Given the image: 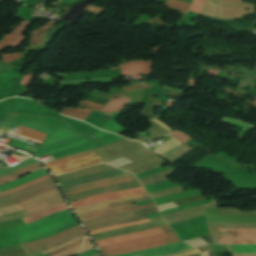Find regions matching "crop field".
I'll use <instances>...</instances> for the list:
<instances>
[{
  "label": "crop field",
  "instance_id": "31",
  "mask_svg": "<svg viewBox=\"0 0 256 256\" xmlns=\"http://www.w3.org/2000/svg\"><path fill=\"white\" fill-rule=\"evenodd\" d=\"M20 130H22L21 135L35 139L40 142H42L43 139L46 137V134L27 129L22 126L20 127Z\"/></svg>",
  "mask_w": 256,
  "mask_h": 256
},
{
  "label": "crop field",
  "instance_id": "14",
  "mask_svg": "<svg viewBox=\"0 0 256 256\" xmlns=\"http://www.w3.org/2000/svg\"><path fill=\"white\" fill-rule=\"evenodd\" d=\"M189 248L190 247L187 246L185 243L179 242V243L170 244L166 246L137 251V252L121 255V256H162V255L182 251Z\"/></svg>",
  "mask_w": 256,
  "mask_h": 256
},
{
  "label": "crop field",
  "instance_id": "39",
  "mask_svg": "<svg viewBox=\"0 0 256 256\" xmlns=\"http://www.w3.org/2000/svg\"><path fill=\"white\" fill-rule=\"evenodd\" d=\"M84 236H85V235H84ZM84 236H81V237H79V238H76V239H73V240L68 241V242H66V243H63V244H61V245H59V246H56V247H54V248H52V249L45 250L44 252L47 254V253L52 252V251H55V250H57V249L66 247V246H68V245H70V244H72V243H74V242H77V241H79V240H82V239L84 238Z\"/></svg>",
  "mask_w": 256,
  "mask_h": 256
},
{
  "label": "crop field",
  "instance_id": "52",
  "mask_svg": "<svg viewBox=\"0 0 256 256\" xmlns=\"http://www.w3.org/2000/svg\"><path fill=\"white\" fill-rule=\"evenodd\" d=\"M84 103H87V104H90V105H92V106H96V107L102 108V106H99V105H96V104H92V103H89V102H86V101H84Z\"/></svg>",
  "mask_w": 256,
  "mask_h": 256
},
{
  "label": "crop field",
  "instance_id": "50",
  "mask_svg": "<svg viewBox=\"0 0 256 256\" xmlns=\"http://www.w3.org/2000/svg\"><path fill=\"white\" fill-rule=\"evenodd\" d=\"M32 76H33V74L24 75V77H23V79H22L23 83L26 85L27 82H28V80H29V78H32ZM22 81L20 82L21 85H23ZM30 81H31V80H29L28 84L30 83ZM28 84H27V86H28Z\"/></svg>",
  "mask_w": 256,
  "mask_h": 256
},
{
  "label": "crop field",
  "instance_id": "29",
  "mask_svg": "<svg viewBox=\"0 0 256 256\" xmlns=\"http://www.w3.org/2000/svg\"><path fill=\"white\" fill-rule=\"evenodd\" d=\"M191 4L189 3H185V2H181L178 0H167V2L164 4V6L170 8V9H174L180 12H184L186 13L189 9Z\"/></svg>",
  "mask_w": 256,
  "mask_h": 256
},
{
  "label": "crop field",
  "instance_id": "10",
  "mask_svg": "<svg viewBox=\"0 0 256 256\" xmlns=\"http://www.w3.org/2000/svg\"><path fill=\"white\" fill-rule=\"evenodd\" d=\"M214 229L220 243H256V229Z\"/></svg>",
  "mask_w": 256,
  "mask_h": 256
},
{
  "label": "crop field",
  "instance_id": "25",
  "mask_svg": "<svg viewBox=\"0 0 256 256\" xmlns=\"http://www.w3.org/2000/svg\"><path fill=\"white\" fill-rule=\"evenodd\" d=\"M127 98L111 99L108 104L101 110L102 112H115L121 110L122 107L127 103Z\"/></svg>",
  "mask_w": 256,
  "mask_h": 256
},
{
  "label": "crop field",
  "instance_id": "55",
  "mask_svg": "<svg viewBox=\"0 0 256 256\" xmlns=\"http://www.w3.org/2000/svg\"><path fill=\"white\" fill-rule=\"evenodd\" d=\"M95 256H99V254L95 255Z\"/></svg>",
  "mask_w": 256,
  "mask_h": 256
},
{
  "label": "crop field",
  "instance_id": "33",
  "mask_svg": "<svg viewBox=\"0 0 256 256\" xmlns=\"http://www.w3.org/2000/svg\"><path fill=\"white\" fill-rule=\"evenodd\" d=\"M128 176H132V174L127 173V174H124L121 176H117V177H113V178H109V179H105V180H101V181H97V182H93V183H89V184H85V185H80V186H76V187H72V188H68V189H64L63 192L65 193V192H69V191L79 189L82 187H86V186H90V185H94V184H98V183H102V182H107V181H113V180L121 179V178L128 177Z\"/></svg>",
  "mask_w": 256,
  "mask_h": 256
},
{
  "label": "crop field",
  "instance_id": "37",
  "mask_svg": "<svg viewBox=\"0 0 256 256\" xmlns=\"http://www.w3.org/2000/svg\"><path fill=\"white\" fill-rule=\"evenodd\" d=\"M221 120L228 122V123L235 124V125L243 128V129H246V130H249V128L251 127V125H249V124H246V123L238 121V120L230 119V118L223 117Z\"/></svg>",
  "mask_w": 256,
  "mask_h": 256
},
{
  "label": "crop field",
  "instance_id": "21",
  "mask_svg": "<svg viewBox=\"0 0 256 256\" xmlns=\"http://www.w3.org/2000/svg\"><path fill=\"white\" fill-rule=\"evenodd\" d=\"M43 168L38 162L28 166V167H25L23 169H20L16 172H13L7 176H3V177H0V184L2 183H5V182H9V181H12L14 179H17V178H20L32 171H35V170H38V169H41Z\"/></svg>",
  "mask_w": 256,
  "mask_h": 256
},
{
  "label": "crop field",
  "instance_id": "19",
  "mask_svg": "<svg viewBox=\"0 0 256 256\" xmlns=\"http://www.w3.org/2000/svg\"><path fill=\"white\" fill-rule=\"evenodd\" d=\"M119 66L121 75H144L149 74V71H151L150 61L128 62Z\"/></svg>",
  "mask_w": 256,
  "mask_h": 256
},
{
  "label": "crop field",
  "instance_id": "49",
  "mask_svg": "<svg viewBox=\"0 0 256 256\" xmlns=\"http://www.w3.org/2000/svg\"><path fill=\"white\" fill-rule=\"evenodd\" d=\"M160 115H158L155 119H153L152 121L158 123L159 125H161L162 127H164L165 129H167L168 131H171V128L169 126H167L166 124H164L161 120L157 119Z\"/></svg>",
  "mask_w": 256,
  "mask_h": 256
},
{
  "label": "crop field",
  "instance_id": "40",
  "mask_svg": "<svg viewBox=\"0 0 256 256\" xmlns=\"http://www.w3.org/2000/svg\"><path fill=\"white\" fill-rule=\"evenodd\" d=\"M20 55L21 53H12V54L1 55V57H2V60H4L5 62H8V61H12L19 58Z\"/></svg>",
  "mask_w": 256,
  "mask_h": 256
},
{
  "label": "crop field",
  "instance_id": "13",
  "mask_svg": "<svg viewBox=\"0 0 256 256\" xmlns=\"http://www.w3.org/2000/svg\"><path fill=\"white\" fill-rule=\"evenodd\" d=\"M149 199L150 197L148 196V194H144V195H138V196L129 197V198L116 199V200H110L102 203H97V204L81 207L78 209H74V211L76 215H79V214H83L90 211L105 209L109 207H114V206H119L123 204L134 203V202L144 201Z\"/></svg>",
  "mask_w": 256,
  "mask_h": 256
},
{
  "label": "crop field",
  "instance_id": "22",
  "mask_svg": "<svg viewBox=\"0 0 256 256\" xmlns=\"http://www.w3.org/2000/svg\"><path fill=\"white\" fill-rule=\"evenodd\" d=\"M68 209L66 203H62V204H58V205H54L48 209H45L39 213H36L30 217H26V218H23V221L25 222V224L29 223V222H32V221H35V220H38L42 217H45L49 214H52L54 212H58V211H61V210H66Z\"/></svg>",
  "mask_w": 256,
  "mask_h": 256
},
{
  "label": "crop field",
  "instance_id": "11",
  "mask_svg": "<svg viewBox=\"0 0 256 256\" xmlns=\"http://www.w3.org/2000/svg\"><path fill=\"white\" fill-rule=\"evenodd\" d=\"M146 193L142 187L135 188V189H130L126 191H120V192H113V193H107V194H102V195H96L92 196L83 200H79L73 203H70V206L72 209L84 205H88L91 203H96V202H102L110 199H115V198H121V197H127V196H132V195H138V194H144Z\"/></svg>",
  "mask_w": 256,
  "mask_h": 256
},
{
  "label": "crop field",
  "instance_id": "51",
  "mask_svg": "<svg viewBox=\"0 0 256 256\" xmlns=\"http://www.w3.org/2000/svg\"><path fill=\"white\" fill-rule=\"evenodd\" d=\"M8 134H11V135H14V136H17V137H20V138H24V139H27V140H30V141H33V142H36V143L41 144L40 142H37V141H34V140H32V139H29V138L23 137V136H21V135L14 134V133H12V132H10V133H8Z\"/></svg>",
  "mask_w": 256,
  "mask_h": 256
},
{
  "label": "crop field",
  "instance_id": "28",
  "mask_svg": "<svg viewBox=\"0 0 256 256\" xmlns=\"http://www.w3.org/2000/svg\"><path fill=\"white\" fill-rule=\"evenodd\" d=\"M179 144H181V142H179L177 139L173 137L165 141L164 143L160 144L159 146L155 147L156 149L154 151L157 154L161 155Z\"/></svg>",
  "mask_w": 256,
  "mask_h": 256
},
{
  "label": "crop field",
  "instance_id": "3",
  "mask_svg": "<svg viewBox=\"0 0 256 256\" xmlns=\"http://www.w3.org/2000/svg\"><path fill=\"white\" fill-rule=\"evenodd\" d=\"M102 162L103 160L101 158L88 150L80 154L63 157L61 159L46 163L44 165L51 171L53 176H56L71 170L87 167Z\"/></svg>",
  "mask_w": 256,
  "mask_h": 256
},
{
  "label": "crop field",
  "instance_id": "42",
  "mask_svg": "<svg viewBox=\"0 0 256 256\" xmlns=\"http://www.w3.org/2000/svg\"><path fill=\"white\" fill-rule=\"evenodd\" d=\"M203 2L204 0H194L190 10L198 13Z\"/></svg>",
  "mask_w": 256,
  "mask_h": 256
},
{
  "label": "crop field",
  "instance_id": "47",
  "mask_svg": "<svg viewBox=\"0 0 256 256\" xmlns=\"http://www.w3.org/2000/svg\"><path fill=\"white\" fill-rule=\"evenodd\" d=\"M90 248H93V245H92L91 241H89V242H87V243H84V244L82 245V248H81L77 253H80V252H82V251L88 250V249H90Z\"/></svg>",
  "mask_w": 256,
  "mask_h": 256
},
{
  "label": "crop field",
  "instance_id": "24",
  "mask_svg": "<svg viewBox=\"0 0 256 256\" xmlns=\"http://www.w3.org/2000/svg\"><path fill=\"white\" fill-rule=\"evenodd\" d=\"M57 22H59V21H57ZM57 22L49 21V22H47L45 25L39 27L37 30H33L32 33H31V35H30V38H31V39H30L29 42H30L32 45L39 44V42H40V40H41V38H40L41 34H42L45 30H47V29H49L50 27L54 26ZM28 37H29V36H28Z\"/></svg>",
  "mask_w": 256,
  "mask_h": 256
},
{
  "label": "crop field",
  "instance_id": "53",
  "mask_svg": "<svg viewBox=\"0 0 256 256\" xmlns=\"http://www.w3.org/2000/svg\"><path fill=\"white\" fill-rule=\"evenodd\" d=\"M86 241H89V238H86V239L84 240V242H86ZM84 242H83V243H84Z\"/></svg>",
  "mask_w": 256,
  "mask_h": 256
},
{
  "label": "crop field",
  "instance_id": "18",
  "mask_svg": "<svg viewBox=\"0 0 256 256\" xmlns=\"http://www.w3.org/2000/svg\"><path fill=\"white\" fill-rule=\"evenodd\" d=\"M150 206H154V203L146 204V205H142V206H138V207H136V206L133 207V204L126 205V206H120V207H114V208L105 209V210H101V211H97V212H93V213H89V214L79 215L77 217L81 222H83V221H87V220L105 216V215L134 211V210L147 208ZM128 207H133V208H128ZM122 208H128V209H122ZM116 209H122V210H116ZM112 210H116V211H112Z\"/></svg>",
  "mask_w": 256,
  "mask_h": 256
},
{
  "label": "crop field",
  "instance_id": "7",
  "mask_svg": "<svg viewBox=\"0 0 256 256\" xmlns=\"http://www.w3.org/2000/svg\"><path fill=\"white\" fill-rule=\"evenodd\" d=\"M148 221H150V220L146 219V220L136 221V222L120 225V226L107 227V228L89 232V234L92 235L97 232L121 228V227L134 225V224H138V223H144V222H148ZM163 225H166V224L164 223L163 219H161V220H157V221H153V222H149V223H145V224L134 225V226H129V227L113 230V231L97 233V234L92 235V238L94 239V241H97V240L106 239V238H110V237H114V236H118V235H122V234L140 232V231L156 228V227L163 226Z\"/></svg>",
  "mask_w": 256,
  "mask_h": 256
},
{
  "label": "crop field",
  "instance_id": "35",
  "mask_svg": "<svg viewBox=\"0 0 256 256\" xmlns=\"http://www.w3.org/2000/svg\"><path fill=\"white\" fill-rule=\"evenodd\" d=\"M208 250H210L209 245L204 246V247H200V248H196V249H192V250H188V251H184V252H180V253H177V254L171 255V256H185V255H189V254H193V253H197V252H202V251H208Z\"/></svg>",
  "mask_w": 256,
  "mask_h": 256
},
{
  "label": "crop field",
  "instance_id": "30",
  "mask_svg": "<svg viewBox=\"0 0 256 256\" xmlns=\"http://www.w3.org/2000/svg\"><path fill=\"white\" fill-rule=\"evenodd\" d=\"M232 253L256 252V245H229Z\"/></svg>",
  "mask_w": 256,
  "mask_h": 256
},
{
  "label": "crop field",
  "instance_id": "45",
  "mask_svg": "<svg viewBox=\"0 0 256 256\" xmlns=\"http://www.w3.org/2000/svg\"><path fill=\"white\" fill-rule=\"evenodd\" d=\"M89 10V11H93V12H96V13H102L104 8H100V7H96V6H93V5H88L87 8L85 9V12Z\"/></svg>",
  "mask_w": 256,
  "mask_h": 256
},
{
  "label": "crop field",
  "instance_id": "6",
  "mask_svg": "<svg viewBox=\"0 0 256 256\" xmlns=\"http://www.w3.org/2000/svg\"><path fill=\"white\" fill-rule=\"evenodd\" d=\"M53 189H57V186L53 180V178L42 181L38 184H35L33 186H30L28 188H25L23 190H20L18 192L1 196L0 197V208L6 207L13 204H18L22 201H25L35 195H38L40 193L50 191Z\"/></svg>",
  "mask_w": 256,
  "mask_h": 256
},
{
  "label": "crop field",
  "instance_id": "5",
  "mask_svg": "<svg viewBox=\"0 0 256 256\" xmlns=\"http://www.w3.org/2000/svg\"><path fill=\"white\" fill-rule=\"evenodd\" d=\"M156 212L158 211L156 206H154V207H150V208L139 210V211L111 215V216L94 219L86 223H83V225L87 231H90V230H94V229H98L106 226H115V225L128 223L136 220L146 219L144 215L152 214Z\"/></svg>",
  "mask_w": 256,
  "mask_h": 256
},
{
  "label": "crop field",
  "instance_id": "1",
  "mask_svg": "<svg viewBox=\"0 0 256 256\" xmlns=\"http://www.w3.org/2000/svg\"><path fill=\"white\" fill-rule=\"evenodd\" d=\"M75 225L78 222L70 210H66L17 228L21 234V242L24 243L47 238Z\"/></svg>",
  "mask_w": 256,
  "mask_h": 256
},
{
  "label": "crop field",
  "instance_id": "34",
  "mask_svg": "<svg viewBox=\"0 0 256 256\" xmlns=\"http://www.w3.org/2000/svg\"><path fill=\"white\" fill-rule=\"evenodd\" d=\"M16 36L17 34L11 32L9 34H5V36L0 41V51L7 47Z\"/></svg>",
  "mask_w": 256,
  "mask_h": 256
},
{
  "label": "crop field",
  "instance_id": "54",
  "mask_svg": "<svg viewBox=\"0 0 256 256\" xmlns=\"http://www.w3.org/2000/svg\"><path fill=\"white\" fill-rule=\"evenodd\" d=\"M190 256H199V254H194V255H190Z\"/></svg>",
  "mask_w": 256,
  "mask_h": 256
},
{
  "label": "crop field",
  "instance_id": "12",
  "mask_svg": "<svg viewBox=\"0 0 256 256\" xmlns=\"http://www.w3.org/2000/svg\"><path fill=\"white\" fill-rule=\"evenodd\" d=\"M141 186L140 183L137 180L130 181V182H125V183H120V184H115L107 187H102V188H96V189H90L86 190L84 192L74 194L71 196H67L68 202H73L79 199H83L87 196L91 195H96V194H102V193H107V192H113V191H118V190H124V189H130V188H135Z\"/></svg>",
  "mask_w": 256,
  "mask_h": 256
},
{
  "label": "crop field",
  "instance_id": "15",
  "mask_svg": "<svg viewBox=\"0 0 256 256\" xmlns=\"http://www.w3.org/2000/svg\"><path fill=\"white\" fill-rule=\"evenodd\" d=\"M44 172H46V170L43 168V169H41V170L35 171V172H33V173H30V174H28V175H26V176H24V177H22V178H20V179H17V180H15V181L2 184V185H0V188L12 186V185L17 184V183H19V182H21V181H23V180H25V179H28V178H30V177H33V176H35V175H37V174H41V173H44ZM45 175H48V172L45 173V174H41V175H38V176H36V177L30 178V179H28V180H25V181H23V182H21V183H19V184H17V185H14V186H12V187L0 189V192L9 190V189H11V188H14V187L19 186V185H21V184L27 183V182H29V181L35 179V178L42 177V176H45ZM47 178H51V176L48 175V176H45V177H42V178H39V179H35V180H33V181H31V182H29V183H27V184H24V185H22V186L16 187V188L11 189V190H9V191L0 193V196H1V195L8 194V193H11V192H15V191H17V190H19V189H22V188H24V187H27V186H29V185H32V184H34V183H37V182L42 181V180L47 179Z\"/></svg>",
  "mask_w": 256,
  "mask_h": 256
},
{
  "label": "crop field",
  "instance_id": "26",
  "mask_svg": "<svg viewBox=\"0 0 256 256\" xmlns=\"http://www.w3.org/2000/svg\"><path fill=\"white\" fill-rule=\"evenodd\" d=\"M91 111L89 110H78V109H69L64 108L60 113L66 115L68 117L76 118L79 120L84 121L87 116L90 114Z\"/></svg>",
  "mask_w": 256,
  "mask_h": 256
},
{
  "label": "crop field",
  "instance_id": "16",
  "mask_svg": "<svg viewBox=\"0 0 256 256\" xmlns=\"http://www.w3.org/2000/svg\"><path fill=\"white\" fill-rule=\"evenodd\" d=\"M167 231H171V229L168 227V225L157 228V229L141 232V233L128 234V235H123V236H119V237H115V238L97 241L96 244L98 245V247H100V246L120 243V242H124V241L139 239V238H143V237H148V236L160 234V233L167 232Z\"/></svg>",
  "mask_w": 256,
  "mask_h": 256
},
{
  "label": "crop field",
  "instance_id": "17",
  "mask_svg": "<svg viewBox=\"0 0 256 256\" xmlns=\"http://www.w3.org/2000/svg\"><path fill=\"white\" fill-rule=\"evenodd\" d=\"M124 173H127V172L122 171V170H118V169H114L112 171L98 173V174H94V175H90V176L70 180V181H67V182H63V183H60V186L62 187V189H64V188H68V187H71V186L85 184V183H89V182L109 178V177H112V176L124 174Z\"/></svg>",
  "mask_w": 256,
  "mask_h": 256
},
{
  "label": "crop field",
  "instance_id": "4",
  "mask_svg": "<svg viewBox=\"0 0 256 256\" xmlns=\"http://www.w3.org/2000/svg\"><path fill=\"white\" fill-rule=\"evenodd\" d=\"M81 143H84V141L78 136L63 129H58L48 134V136L44 139L41 148L34 156L36 158L46 156L52 152Z\"/></svg>",
  "mask_w": 256,
  "mask_h": 256
},
{
  "label": "crop field",
  "instance_id": "44",
  "mask_svg": "<svg viewBox=\"0 0 256 256\" xmlns=\"http://www.w3.org/2000/svg\"><path fill=\"white\" fill-rule=\"evenodd\" d=\"M171 134H172L173 136L179 138V139H180L181 141H183L184 143H185L187 140L190 139V137H188V136H186V135H184V134H182V133H180V132H178V131H176V130H174Z\"/></svg>",
  "mask_w": 256,
  "mask_h": 256
},
{
  "label": "crop field",
  "instance_id": "48",
  "mask_svg": "<svg viewBox=\"0 0 256 256\" xmlns=\"http://www.w3.org/2000/svg\"><path fill=\"white\" fill-rule=\"evenodd\" d=\"M148 22H150V23H152V24L156 23V24H158V25H160V26H162V27L166 26V25H164L163 22H161V19H159V18H157V17H154V18H152V19H149Z\"/></svg>",
  "mask_w": 256,
  "mask_h": 256
},
{
  "label": "crop field",
  "instance_id": "20",
  "mask_svg": "<svg viewBox=\"0 0 256 256\" xmlns=\"http://www.w3.org/2000/svg\"><path fill=\"white\" fill-rule=\"evenodd\" d=\"M112 169H114V168L109 167L104 164H101V165L84 168V169H81V170H78L75 172H71L68 174L56 176L55 178L58 181V183H60V182L67 181V180H70L73 178H77V177H81V176H85V175H89V174H93V173H98V172H102V171L112 170Z\"/></svg>",
  "mask_w": 256,
  "mask_h": 256
},
{
  "label": "crop field",
  "instance_id": "32",
  "mask_svg": "<svg viewBox=\"0 0 256 256\" xmlns=\"http://www.w3.org/2000/svg\"><path fill=\"white\" fill-rule=\"evenodd\" d=\"M134 179H135V177L132 176V177H129V178H125V179H121V180H117V181H113V182L102 183V184H98V185L82 188V189H79V190H75V191H72V192H69V193H65V196L71 195V194H74V193H78V192H81L83 190L90 189V188L107 186V185H111V184H115V183H120V182H125V181H130V180H134Z\"/></svg>",
  "mask_w": 256,
  "mask_h": 256
},
{
  "label": "crop field",
  "instance_id": "23",
  "mask_svg": "<svg viewBox=\"0 0 256 256\" xmlns=\"http://www.w3.org/2000/svg\"><path fill=\"white\" fill-rule=\"evenodd\" d=\"M87 149H92V148L87 143H84V144H81L78 146H74V147H71V148H68V149H65L62 151L52 153V155L55 157V159H57V158H60L63 156L79 153V152H82Z\"/></svg>",
  "mask_w": 256,
  "mask_h": 256
},
{
  "label": "crop field",
  "instance_id": "8",
  "mask_svg": "<svg viewBox=\"0 0 256 256\" xmlns=\"http://www.w3.org/2000/svg\"><path fill=\"white\" fill-rule=\"evenodd\" d=\"M64 198L61 195L59 189L53 190L50 192L43 193L41 195L35 196L18 206L24 208L28 214L32 215L36 212H39L46 207H49L51 205L64 202Z\"/></svg>",
  "mask_w": 256,
  "mask_h": 256
},
{
  "label": "crop field",
  "instance_id": "27",
  "mask_svg": "<svg viewBox=\"0 0 256 256\" xmlns=\"http://www.w3.org/2000/svg\"><path fill=\"white\" fill-rule=\"evenodd\" d=\"M29 24L30 23L28 22H20V24L12 30V32H15L19 35L11 42L9 45L10 47L16 48L20 43L24 41L25 38L23 37V33Z\"/></svg>",
  "mask_w": 256,
  "mask_h": 256
},
{
  "label": "crop field",
  "instance_id": "43",
  "mask_svg": "<svg viewBox=\"0 0 256 256\" xmlns=\"http://www.w3.org/2000/svg\"><path fill=\"white\" fill-rule=\"evenodd\" d=\"M80 246H77L75 248H72V249H69L67 251L61 252V253H59L57 255H54V256H73L75 254V252L80 248Z\"/></svg>",
  "mask_w": 256,
  "mask_h": 256
},
{
  "label": "crop field",
  "instance_id": "9",
  "mask_svg": "<svg viewBox=\"0 0 256 256\" xmlns=\"http://www.w3.org/2000/svg\"><path fill=\"white\" fill-rule=\"evenodd\" d=\"M84 233L85 232L81 229L80 225H78L74 228L67 229L50 238L27 243V244H24L23 246L27 254H29V253L37 252L40 250H44L46 248H49L51 246H54L56 244H59L61 242H64L68 239H71L73 237L79 236Z\"/></svg>",
  "mask_w": 256,
  "mask_h": 256
},
{
  "label": "crop field",
  "instance_id": "36",
  "mask_svg": "<svg viewBox=\"0 0 256 256\" xmlns=\"http://www.w3.org/2000/svg\"><path fill=\"white\" fill-rule=\"evenodd\" d=\"M22 126H25L27 128L36 129V130L41 131V132L46 133V134H48L52 131L48 128L42 127V126L34 124V123H29V122L22 123Z\"/></svg>",
  "mask_w": 256,
  "mask_h": 256
},
{
  "label": "crop field",
  "instance_id": "41",
  "mask_svg": "<svg viewBox=\"0 0 256 256\" xmlns=\"http://www.w3.org/2000/svg\"><path fill=\"white\" fill-rule=\"evenodd\" d=\"M106 81H111V79H101V80H94V81H80V82L61 83V85L86 84V83H96V82H106Z\"/></svg>",
  "mask_w": 256,
  "mask_h": 256
},
{
  "label": "crop field",
  "instance_id": "38",
  "mask_svg": "<svg viewBox=\"0 0 256 256\" xmlns=\"http://www.w3.org/2000/svg\"><path fill=\"white\" fill-rule=\"evenodd\" d=\"M12 145L16 146V147H19V148H22V149H25V150L32 151V152H36L37 151V149H34V148L30 147L31 144H28L26 142L19 141V140H16Z\"/></svg>",
  "mask_w": 256,
  "mask_h": 256
},
{
  "label": "crop field",
  "instance_id": "46",
  "mask_svg": "<svg viewBox=\"0 0 256 256\" xmlns=\"http://www.w3.org/2000/svg\"><path fill=\"white\" fill-rule=\"evenodd\" d=\"M82 241H83V240H82ZM82 241L77 242V243H74V244H72V245H70V246H68V247H66V248L57 250V251H55V252H53V253H50V254H48V255L52 256V255H54V254H56V253H59V252H61V251H64V250H67V249H69V248H72V247H75V246H77V245H80V244L82 243Z\"/></svg>",
  "mask_w": 256,
  "mask_h": 256
},
{
  "label": "crop field",
  "instance_id": "2",
  "mask_svg": "<svg viewBox=\"0 0 256 256\" xmlns=\"http://www.w3.org/2000/svg\"><path fill=\"white\" fill-rule=\"evenodd\" d=\"M180 241L175 232L171 231L168 233L143 238L139 240L124 242L120 244H115L107 247L99 248L103 256H115L121 255L137 250H142L150 247L166 245L174 242Z\"/></svg>",
  "mask_w": 256,
  "mask_h": 256
}]
</instances>
